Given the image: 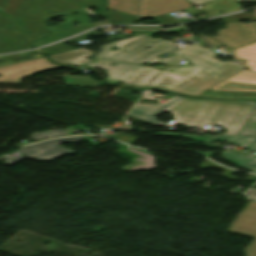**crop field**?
Returning <instances> with one entry per match:
<instances>
[{
    "label": "crop field",
    "mask_w": 256,
    "mask_h": 256,
    "mask_svg": "<svg viewBox=\"0 0 256 256\" xmlns=\"http://www.w3.org/2000/svg\"><path fill=\"white\" fill-rule=\"evenodd\" d=\"M234 53L247 60L251 72L247 69L212 89L256 91V42L240 47Z\"/></svg>",
    "instance_id": "f4fd0767"
},
{
    "label": "crop field",
    "mask_w": 256,
    "mask_h": 256,
    "mask_svg": "<svg viewBox=\"0 0 256 256\" xmlns=\"http://www.w3.org/2000/svg\"><path fill=\"white\" fill-rule=\"evenodd\" d=\"M181 98H183V96L175 95L169 100L168 103L159 104L157 106L136 104L134 108L128 113V115L135 116L147 122L155 115L163 112L165 109H167L169 106H171L173 103Z\"/></svg>",
    "instance_id": "3316defc"
},
{
    "label": "crop field",
    "mask_w": 256,
    "mask_h": 256,
    "mask_svg": "<svg viewBox=\"0 0 256 256\" xmlns=\"http://www.w3.org/2000/svg\"><path fill=\"white\" fill-rule=\"evenodd\" d=\"M64 135H66L64 130H51L43 133H35L32 135L31 140H35L38 138H51V137L64 136Z\"/></svg>",
    "instance_id": "733c2abd"
},
{
    "label": "crop field",
    "mask_w": 256,
    "mask_h": 256,
    "mask_svg": "<svg viewBox=\"0 0 256 256\" xmlns=\"http://www.w3.org/2000/svg\"><path fill=\"white\" fill-rule=\"evenodd\" d=\"M100 11H103L105 14H102V12ZM94 13L97 15L106 17L107 18L106 21L108 22V24H121L136 17L133 15H129V14H125L117 11L112 13H107L105 9L95 11Z\"/></svg>",
    "instance_id": "d1516ede"
},
{
    "label": "crop field",
    "mask_w": 256,
    "mask_h": 256,
    "mask_svg": "<svg viewBox=\"0 0 256 256\" xmlns=\"http://www.w3.org/2000/svg\"><path fill=\"white\" fill-rule=\"evenodd\" d=\"M239 135L256 136V106L254 107Z\"/></svg>",
    "instance_id": "22f410ed"
},
{
    "label": "crop field",
    "mask_w": 256,
    "mask_h": 256,
    "mask_svg": "<svg viewBox=\"0 0 256 256\" xmlns=\"http://www.w3.org/2000/svg\"><path fill=\"white\" fill-rule=\"evenodd\" d=\"M104 136H108V137H111L126 143H130V144L135 143L136 140L138 139L137 137L131 136L128 134H115V135H104Z\"/></svg>",
    "instance_id": "214f88e0"
},
{
    "label": "crop field",
    "mask_w": 256,
    "mask_h": 256,
    "mask_svg": "<svg viewBox=\"0 0 256 256\" xmlns=\"http://www.w3.org/2000/svg\"><path fill=\"white\" fill-rule=\"evenodd\" d=\"M229 231L256 238V202L248 203L247 207L234 221ZM247 256H256V239L245 250Z\"/></svg>",
    "instance_id": "5a996713"
},
{
    "label": "crop field",
    "mask_w": 256,
    "mask_h": 256,
    "mask_svg": "<svg viewBox=\"0 0 256 256\" xmlns=\"http://www.w3.org/2000/svg\"><path fill=\"white\" fill-rule=\"evenodd\" d=\"M252 109L234 103L183 98L165 112L174 114L176 124L200 128L218 125L229 130L225 134L238 135Z\"/></svg>",
    "instance_id": "ac0d7876"
},
{
    "label": "crop field",
    "mask_w": 256,
    "mask_h": 256,
    "mask_svg": "<svg viewBox=\"0 0 256 256\" xmlns=\"http://www.w3.org/2000/svg\"><path fill=\"white\" fill-rule=\"evenodd\" d=\"M161 29V27H131L129 30L133 33L134 36H136Z\"/></svg>",
    "instance_id": "bc2a9ffb"
},
{
    "label": "crop field",
    "mask_w": 256,
    "mask_h": 256,
    "mask_svg": "<svg viewBox=\"0 0 256 256\" xmlns=\"http://www.w3.org/2000/svg\"><path fill=\"white\" fill-rule=\"evenodd\" d=\"M76 140L83 139L82 137H69L44 141L34 145L22 147L18 150L31 159L50 161L72 151L59 144ZM34 149H37V151H35Z\"/></svg>",
    "instance_id": "d8731c3e"
},
{
    "label": "crop field",
    "mask_w": 256,
    "mask_h": 256,
    "mask_svg": "<svg viewBox=\"0 0 256 256\" xmlns=\"http://www.w3.org/2000/svg\"><path fill=\"white\" fill-rule=\"evenodd\" d=\"M228 28L217 30L219 35L210 38L200 35L204 40L217 46L224 44L229 48L256 40V23H232L227 24Z\"/></svg>",
    "instance_id": "dd49c442"
},
{
    "label": "crop field",
    "mask_w": 256,
    "mask_h": 256,
    "mask_svg": "<svg viewBox=\"0 0 256 256\" xmlns=\"http://www.w3.org/2000/svg\"><path fill=\"white\" fill-rule=\"evenodd\" d=\"M215 100V99H211ZM219 101H227V102H234V103H240V104H246V105H252L255 106L256 101H246V100H219Z\"/></svg>",
    "instance_id": "dafd665d"
},
{
    "label": "crop field",
    "mask_w": 256,
    "mask_h": 256,
    "mask_svg": "<svg viewBox=\"0 0 256 256\" xmlns=\"http://www.w3.org/2000/svg\"><path fill=\"white\" fill-rule=\"evenodd\" d=\"M224 23H231V22H238L240 19H246V20H254L256 19V13H237L233 15L223 16L221 17Z\"/></svg>",
    "instance_id": "d9b57169"
},
{
    "label": "crop field",
    "mask_w": 256,
    "mask_h": 256,
    "mask_svg": "<svg viewBox=\"0 0 256 256\" xmlns=\"http://www.w3.org/2000/svg\"><path fill=\"white\" fill-rule=\"evenodd\" d=\"M178 54L182 58L190 59V63L195 66L169 68L173 70L168 72L169 69H167L161 72L125 63H117V65L112 66L108 64L110 61L100 60L89 63L86 67L108 70L105 72L108 75L106 80L110 82L120 80L134 87H154L193 96H200L205 89H210L246 69L234 62H220L213 59L211 57L215 54L200 46L192 45ZM101 62L103 64H100ZM123 73L124 75H122ZM218 76L221 78H217Z\"/></svg>",
    "instance_id": "8a807250"
},
{
    "label": "crop field",
    "mask_w": 256,
    "mask_h": 256,
    "mask_svg": "<svg viewBox=\"0 0 256 256\" xmlns=\"http://www.w3.org/2000/svg\"><path fill=\"white\" fill-rule=\"evenodd\" d=\"M247 193L250 198L256 199V190L250 189L249 191H247Z\"/></svg>",
    "instance_id": "4177f3b9"
},
{
    "label": "crop field",
    "mask_w": 256,
    "mask_h": 256,
    "mask_svg": "<svg viewBox=\"0 0 256 256\" xmlns=\"http://www.w3.org/2000/svg\"><path fill=\"white\" fill-rule=\"evenodd\" d=\"M85 9L91 8L99 3H101V0H73Z\"/></svg>",
    "instance_id": "92a150f3"
},
{
    "label": "crop field",
    "mask_w": 256,
    "mask_h": 256,
    "mask_svg": "<svg viewBox=\"0 0 256 256\" xmlns=\"http://www.w3.org/2000/svg\"><path fill=\"white\" fill-rule=\"evenodd\" d=\"M195 38H196L197 40H199L202 45H206V44H204L197 36H195Z\"/></svg>",
    "instance_id": "eef30255"
},
{
    "label": "crop field",
    "mask_w": 256,
    "mask_h": 256,
    "mask_svg": "<svg viewBox=\"0 0 256 256\" xmlns=\"http://www.w3.org/2000/svg\"><path fill=\"white\" fill-rule=\"evenodd\" d=\"M156 135H163V136H185L194 141H228L232 144H238L243 146L247 149H251L256 151V137H241V136H229V135H219L217 137L214 136H199V135H183L180 133H166V132H156ZM255 141L252 143L251 141ZM224 157L241 167H244L252 172L256 173V155L252 153H248L249 157L242 156L238 153H235L231 150H228L223 153Z\"/></svg>",
    "instance_id": "412701ff"
},
{
    "label": "crop field",
    "mask_w": 256,
    "mask_h": 256,
    "mask_svg": "<svg viewBox=\"0 0 256 256\" xmlns=\"http://www.w3.org/2000/svg\"><path fill=\"white\" fill-rule=\"evenodd\" d=\"M183 30L186 29L183 26H180L157 32L172 33ZM157 32L124 39L114 43H107L100 47L102 52L96 55L95 59L104 58L109 60H117L118 58L122 61L139 64L144 62L163 63L167 65L176 64L178 62V58L175 55L171 58H155L156 56L162 55L163 53L175 54L178 51L169 41L162 39L152 40L149 37ZM112 46H117L119 49L111 51L110 47ZM147 46H149L150 49H145ZM123 50H125L126 53H122Z\"/></svg>",
    "instance_id": "34b2d1b8"
},
{
    "label": "crop field",
    "mask_w": 256,
    "mask_h": 256,
    "mask_svg": "<svg viewBox=\"0 0 256 256\" xmlns=\"http://www.w3.org/2000/svg\"><path fill=\"white\" fill-rule=\"evenodd\" d=\"M149 122L152 123V124H154V125L167 126V124L160 123V122L157 121V119H155V118L151 119Z\"/></svg>",
    "instance_id": "730fd06b"
},
{
    "label": "crop field",
    "mask_w": 256,
    "mask_h": 256,
    "mask_svg": "<svg viewBox=\"0 0 256 256\" xmlns=\"http://www.w3.org/2000/svg\"><path fill=\"white\" fill-rule=\"evenodd\" d=\"M68 86H99L95 80L89 77H66L64 78Z\"/></svg>",
    "instance_id": "5142ce71"
},
{
    "label": "crop field",
    "mask_w": 256,
    "mask_h": 256,
    "mask_svg": "<svg viewBox=\"0 0 256 256\" xmlns=\"http://www.w3.org/2000/svg\"><path fill=\"white\" fill-rule=\"evenodd\" d=\"M65 42V41H64ZM46 51V54H53V53H57V52H61V51H68V50H72L73 48L64 45L63 42H60L58 44L52 45L50 47L44 48Z\"/></svg>",
    "instance_id": "4a817a6b"
},
{
    "label": "crop field",
    "mask_w": 256,
    "mask_h": 256,
    "mask_svg": "<svg viewBox=\"0 0 256 256\" xmlns=\"http://www.w3.org/2000/svg\"><path fill=\"white\" fill-rule=\"evenodd\" d=\"M190 3L193 5H199V4H204L213 0H188ZM238 2H243V1H251V2H256V0H237Z\"/></svg>",
    "instance_id": "00972430"
},
{
    "label": "crop field",
    "mask_w": 256,
    "mask_h": 256,
    "mask_svg": "<svg viewBox=\"0 0 256 256\" xmlns=\"http://www.w3.org/2000/svg\"><path fill=\"white\" fill-rule=\"evenodd\" d=\"M200 167H201V169H207V168H210V167H212V168H221V169L225 170L224 177L229 178V179H240V178H237V177H234V176L230 175V174H234V173H236L238 171L226 169V168H224V167H222V166H220V165H218V164H216L214 162H211L209 160L205 161L202 165H200ZM244 180L256 181V175L251 174L250 176H248Z\"/></svg>",
    "instance_id": "cbeb9de0"
},
{
    "label": "crop field",
    "mask_w": 256,
    "mask_h": 256,
    "mask_svg": "<svg viewBox=\"0 0 256 256\" xmlns=\"http://www.w3.org/2000/svg\"><path fill=\"white\" fill-rule=\"evenodd\" d=\"M94 34H96V33L93 32V31H91V32H89V33L83 34V35H81V36L75 37V38L70 39V40H71V41H76V40H78V39H81V38H84V37H88V36H91V35H94Z\"/></svg>",
    "instance_id": "a9b5d70f"
},
{
    "label": "crop field",
    "mask_w": 256,
    "mask_h": 256,
    "mask_svg": "<svg viewBox=\"0 0 256 256\" xmlns=\"http://www.w3.org/2000/svg\"><path fill=\"white\" fill-rule=\"evenodd\" d=\"M92 54L93 53L88 50L79 49V50L65 52V53H61V54H57L49 57L51 60L57 63L81 66L85 62H89L84 57L90 56Z\"/></svg>",
    "instance_id": "28ad6ade"
},
{
    "label": "crop field",
    "mask_w": 256,
    "mask_h": 256,
    "mask_svg": "<svg viewBox=\"0 0 256 256\" xmlns=\"http://www.w3.org/2000/svg\"><path fill=\"white\" fill-rule=\"evenodd\" d=\"M59 67L62 66L54 65L48 62L44 57L1 66L0 74H3V76L0 77V82L19 83L21 78H24L33 73Z\"/></svg>",
    "instance_id": "e52e79f7"
}]
</instances>
